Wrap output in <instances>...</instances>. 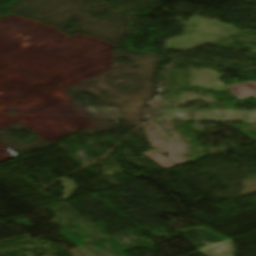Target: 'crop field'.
<instances>
[{
  "label": "crop field",
  "mask_w": 256,
  "mask_h": 256,
  "mask_svg": "<svg viewBox=\"0 0 256 256\" xmlns=\"http://www.w3.org/2000/svg\"><path fill=\"white\" fill-rule=\"evenodd\" d=\"M237 98L256 93V82L249 81L243 84L227 87Z\"/></svg>",
  "instance_id": "obj_1"
},
{
  "label": "crop field",
  "mask_w": 256,
  "mask_h": 256,
  "mask_svg": "<svg viewBox=\"0 0 256 256\" xmlns=\"http://www.w3.org/2000/svg\"><path fill=\"white\" fill-rule=\"evenodd\" d=\"M254 98H256V96H254Z\"/></svg>",
  "instance_id": "obj_2"
}]
</instances>
